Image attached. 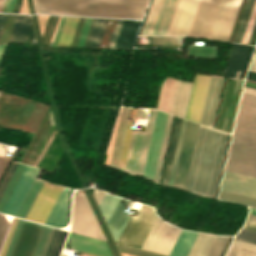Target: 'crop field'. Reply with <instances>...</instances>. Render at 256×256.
<instances>
[{"instance_id": "obj_1", "label": "crop field", "mask_w": 256, "mask_h": 256, "mask_svg": "<svg viewBox=\"0 0 256 256\" xmlns=\"http://www.w3.org/2000/svg\"><path fill=\"white\" fill-rule=\"evenodd\" d=\"M228 136L200 125L186 191L214 197Z\"/></svg>"}, {"instance_id": "obj_2", "label": "crop field", "mask_w": 256, "mask_h": 256, "mask_svg": "<svg viewBox=\"0 0 256 256\" xmlns=\"http://www.w3.org/2000/svg\"><path fill=\"white\" fill-rule=\"evenodd\" d=\"M37 13L142 19L148 0H33Z\"/></svg>"}, {"instance_id": "obj_3", "label": "crop field", "mask_w": 256, "mask_h": 256, "mask_svg": "<svg viewBox=\"0 0 256 256\" xmlns=\"http://www.w3.org/2000/svg\"><path fill=\"white\" fill-rule=\"evenodd\" d=\"M209 79L210 77H207V76L196 75L194 85H193V83H190V82H183V81L176 82L175 79H173L172 81V79L167 77L166 81L163 82L162 84L157 109L165 112L168 95L170 91V86H171V81H172L170 96H169L167 110H166V112L169 113L172 96L174 92V87H175V82H176V87H175V92H174L170 113L185 119L188 103L190 99L191 89L193 85L186 119L199 123Z\"/></svg>"}, {"instance_id": "obj_4", "label": "crop field", "mask_w": 256, "mask_h": 256, "mask_svg": "<svg viewBox=\"0 0 256 256\" xmlns=\"http://www.w3.org/2000/svg\"><path fill=\"white\" fill-rule=\"evenodd\" d=\"M53 230L24 220L11 256H44Z\"/></svg>"}, {"instance_id": "obj_5", "label": "crop field", "mask_w": 256, "mask_h": 256, "mask_svg": "<svg viewBox=\"0 0 256 256\" xmlns=\"http://www.w3.org/2000/svg\"><path fill=\"white\" fill-rule=\"evenodd\" d=\"M93 196L112 236L117 241L129 217L127 211L132 202L108 195L97 189L93 191Z\"/></svg>"}, {"instance_id": "obj_6", "label": "crop field", "mask_w": 256, "mask_h": 256, "mask_svg": "<svg viewBox=\"0 0 256 256\" xmlns=\"http://www.w3.org/2000/svg\"><path fill=\"white\" fill-rule=\"evenodd\" d=\"M178 0H152L140 35H166Z\"/></svg>"}, {"instance_id": "obj_7", "label": "crop field", "mask_w": 256, "mask_h": 256, "mask_svg": "<svg viewBox=\"0 0 256 256\" xmlns=\"http://www.w3.org/2000/svg\"><path fill=\"white\" fill-rule=\"evenodd\" d=\"M156 217L153 208L142 206L139 214L130 216L118 242L141 248Z\"/></svg>"}, {"instance_id": "obj_8", "label": "crop field", "mask_w": 256, "mask_h": 256, "mask_svg": "<svg viewBox=\"0 0 256 256\" xmlns=\"http://www.w3.org/2000/svg\"><path fill=\"white\" fill-rule=\"evenodd\" d=\"M70 231L106 240L85 196L82 194L76 193L74 196Z\"/></svg>"}, {"instance_id": "obj_9", "label": "crop field", "mask_w": 256, "mask_h": 256, "mask_svg": "<svg viewBox=\"0 0 256 256\" xmlns=\"http://www.w3.org/2000/svg\"><path fill=\"white\" fill-rule=\"evenodd\" d=\"M156 110H150L146 129L134 132L125 169L129 174L141 175L146 157L148 143L151 135Z\"/></svg>"}, {"instance_id": "obj_10", "label": "crop field", "mask_w": 256, "mask_h": 256, "mask_svg": "<svg viewBox=\"0 0 256 256\" xmlns=\"http://www.w3.org/2000/svg\"><path fill=\"white\" fill-rule=\"evenodd\" d=\"M225 170L256 178V148L231 142Z\"/></svg>"}, {"instance_id": "obj_11", "label": "crop field", "mask_w": 256, "mask_h": 256, "mask_svg": "<svg viewBox=\"0 0 256 256\" xmlns=\"http://www.w3.org/2000/svg\"><path fill=\"white\" fill-rule=\"evenodd\" d=\"M179 232L180 229L166 224L157 217L142 248L168 255Z\"/></svg>"}, {"instance_id": "obj_12", "label": "crop field", "mask_w": 256, "mask_h": 256, "mask_svg": "<svg viewBox=\"0 0 256 256\" xmlns=\"http://www.w3.org/2000/svg\"><path fill=\"white\" fill-rule=\"evenodd\" d=\"M62 187L43 183L26 219L45 224Z\"/></svg>"}, {"instance_id": "obj_13", "label": "crop field", "mask_w": 256, "mask_h": 256, "mask_svg": "<svg viewBox=\"0 0 256 256\" xmlns=\"http://www.w3.org/2000/svg\"><path fill=\"white\" fill-rule=\"evenodd\" d=\"M167 114L158 112L156 113L155 122L152 130L150 144L147 152L145 166L143 170V177L152 179L154 178L155 169L158 161L160 147L163 139L165 125L167 121Z\"/></svg>"}, {"instance_id": "obj_14", "label": "crop field", "mask_w": 256, "mask_h": 256, "mask_svg": "<svg viewBox=\"0 0 256 256\" xmlns=\"http://www.w3.org/2000/svg\"><path fill=\"white\" fill-rule=\"evenodd\" d=\"M198 127H199L198 124H195L189 121L187 123L182 150H181L177 172L175 176V181L173 185L174 188H180L183 190L185 188Z\"/></svg>"}, {"instance_id": "obj_15", "label": "crop field", "mask_w": 256, "mask_h": 256, "mask_svg": "<svg viewBox=\"0 0 256 256\" xmlns=\"http://www.w3.org/2000/svg\"><path fill=\"white\" fill-rule=\"evenodd\" d=\"M241 0H222L210 37L227 41Z\"/></svg>"}, {"instance_id": "obj_16", "label": "crop field", "mask_w": 256, "mask_h": 256, "mask_svg": "<svg viewBox=\"0 0 256 256\" xmlns=\"http://www.w3.org/2000/svg\"><path fill=\"white\" fill-rule=\"evenodd\" d=\"M221 0H200L188 36L208 38Z\"/></svg>"}, {"instance_id": "obj_17", "label": "crop field", "mask_w": 256, "mask_h": 256, "mask_svg": "<svg viewBox=\"0 0 256 256\" xmlns=\"http://www.w3.org/2000/svg\"><path fill=\"white\" fill-rule=\"evenodd\" d=\"M235 82H236V80H231V79H227V81H226V85H225V89H224V93H223V97H222V101H221V106H220V110H219V114H218V118H217V122H216V126H215L216 129H220L223 131L225 130V126H226V122H227V118H228V114H229V110H230V106H231V102H232V101H230V98H231V95H233V93H234ZM242 82L243 81L237 80L236 88H241ZM236 88H235V91H236ZM240 91H241V89H237V94H236L233 110L231 107L232 115H231V111L229 114L226 130H225L227 132L230 115H231V120H230V125H229V130H228L229 133H231V130H232ZM234 96H235V94H234ZM234 96H232V98H231V100H233V101H234ZM232 105H233V103H232Z\"/></svg>"}, {"instance_id": "obj_18", "label": "crop field", "mask_w": 256, "mask_h": 256, "mask_svg": "<svg viewBox=\"0 0 256 256\" xmlns=\"http://www.w3.org/2000/svg\"><path fill=\"white\" fill-rule=\"evenodd\" d=\"M39 169L25 166L3 213L16 216L24 198L26 197Z\"/></svg>"}, {"instance_id": "obj_19", "label": "crop field", "mask_w": 256, "mask_h": 256, "mask_svg": "<svg viewBox=\"0 0 256 256\" xmlns=\"http://www.w3.org/2000/svg\"><path fill=\"white\" fill-rule=\"evenodd\" d=\"M199 0H179L167 35H188Z\"/></svg>"}, {"instance_id": "obj_20", "label": "crop field", "mask_w": 256, "mask_h": 256, "mask_svg": "<svg viewBox=\"0 0 256 256\" xmlns=\"http://www.w3.org/2000/svg\"><path fill=\"white\" fill-rule=\"evenodd\" d=\"M65 248L97 255V256H112L107 242L70 233Z\"/></svg>"}, {"instance_id": "obj_21", "label": "crop field", "mask_w": 256, "mask_h": 256, "mask_svg": "<svg viewBox=\"0 0 256 256\" xmlns=\"http://www.w3.org/2000/svg\"><path fill=\"white\" fill-rule=\"evenodd\" d=\"M231 141L256 147V116L238 112Z\"/></svg>"}, {"instance_id": "obj_22", "label": "crop field", "mask_w": 256, "mask_h": 256, "mask_svg": "<svg viewBox=\"0 0 256 256\" xmlns=\"http://www.w3.org/2000/svg\"><path fill=\"white\" fill-rule=\"evenodd\" d=\"M223 80L224 78L211 77L200 121L201 124L212 128L215 122Z\"/></svg>"}, {"instance_id": "obj_23", "label": "crop field", "mask_w": 256, "mask_h": 256, "mask_svg": "<svg viewBox=\"0 0 256 256\" xmlns=\"http://www.w3.org/2000/svg\"><path fill=\"white\" fill-rule=\"evenodd\" d=\"M252 47L233 43L224 76L235 77L237 70H242L237 72L236 77H239L240 72L239 78L243 77Z\"/></svg>"}, {"instance_id": "obj_24", "label": "crop field", "mask_w": 256, "mask_h": 256, "mask_svg": "<svg viewBox=\"0 0 256 256\" xmlns=\"http://www.w3.org/2000/svg\"><path fill=\"white\" fill-rule=\"evenodd\" d=\"M70 190L63 188L47 222L46 225L54 227L67 226L68 219V203Z\"/></svg>"}, {"instance_id": "obj_25", "label": "crop field", "mask_w": 256, "mask_h": 256, "mask_svg": "<svg viewBox=\"0 0 256 256\" xmlns=\"http://www.w3.org/2000/svg\"><path fill=\"white\" fill-rule=\"evenodd\" d=\"M140 23L124 20L114 48L132 49Z\"/></svg>"}, {"instance_id": "obj_26", "label": "crop field", "mask_w": 256, "mask_h": 256, "mask_svg": "<svg viewBox=\"0 0 256 256\" xmlns=\"http://www.w3.org/2000/svg\"><path fill=\"white\" fill-rule=\"evenodd\" d=\"M130 111L131 109L123 107L120 120H119L118 130H117L112 158L110 162V166H113L116 168L118 166V162L121 154V149L124 141V136H125V132L128 124Z\"/></svg>"}, {"instance_id": "obj_27", "label": "crop field", "mask_w": 256, "mask_h": 256, "mask_svg": "<svg viewBox=\"0 0 256 256\" xmlns=\"http://www.w3.org/2000/svg\"><path fill=\"white\" fill-rule=\"evenodd\" d=\"M30 25H31V20L29 16L17 15L8 42L25 43Z\"/></svg>"}, {"instance_id": "obj_28", "label": "crop field", "mask_w": 256, "mask_h": 256, "mask_svg": "<svg viewBox=\"0 0 256 256\" xmlns=\"http://www.w3.org/2000/svg\"><path fill=\"white\" fill-rule=\"evenodd\" d=\"M197 233L187 232L182 230L170 255L171 256H186Z\"/></svg>"}, {"instance_id": "obj_29", "label": "crop field", "mask_w": 256, "mask_h": 256, "mask_svg": "<svg viewBox=\"0 0 256 256\" xmlns=\"http://www.w3.org/2000/svg\"><path fill=\"white\" fill-rule=\"evenodd\" d=\"M79 18L66 17L56 46H69Z\"/></svg>"}, {"instance_id": "obj_30", "label": "crop field", "mask_w": 256, "mask_h": 256, "mask_svg": "<svg viewBox=\"0 0 256 256\" xmlns=\"http://www.w3.org/2000/svg\"><path fill=\"white\" fill-rule=\"evenodd\" d=\"M214 237L198 233L187 256H205Z\"/></svg>"}, {"instance_id": "obj_31", "label": "crop field", "mask_w": 256, "mask_h": 256, "mask_svg": "<svg viewBox=\"0 0 256 256\" xmlns=\"http://www.w3.org/2000/svg\"><path fill=\"white\" fill-rule=\"evenodd\" d=\"M108 19H95L86 46L99 47Z\"/></svg>"}, {"instance_id": "obj_32", "label": "crop field", "mask_w": 256, "mask_h": 256, "mask_svg": "<svg viewBox=\"0 0 256 256\" xmlns=\"http://www.w3.org/2000/svg\"><path fill=\"white\" fill-rule=\"evenodd\" d=\"M186 123H187V121L182 119L179 134H178V139H177V143H176V148H175V152H174V156H173V161H172V165H171V170H170V174H169V179H168V183H167V185L171 186V187H172L173 181H174V176H175L178 158H179V154H180V150H181V145H182V141H183Z\"/></svg>"}, {"instance_id": "obj_33", "label": "crop field", "mask_w": 256, "mask_h": 256, "mask_svg": "<svg viewBox=\"0 0 256 256\" xmlns=\"http://www.w3.org/2000/svg\"><path fill=\"white\" fill-rule=\"evenodd\" d=\"M173 119H174V117L169 115L165 134H164V139H163V143H162V148H161V152H160V156H159V161H158V165H157V170H156V174H155V178H154V181H156V182L159 181V177H160V173H161V169H162V165H163V160H164V156H165V152H166V148H167V144H168V140H169V135H170Z\"/></svg>"}, {"instance_id": "obj_34", "label": "crop field", "mask_w": 256, "mask_h": 256, "mask_svg": "<svg viewBox=\"0 0 256 256\" xmlns=\"http://www.w3.org/2000/svg\"><path fill=\"white\" fill-rule=\"evenodd\" d=\"M181 119L177 117L161 184L166 185Z\"/></svg>"}, {"instance_id": "obj_35", "label": "crop field", "mask_w": 256, "mask_h": 256, "mask_svg": "<svg viewBox=\"0 0 256 256\" xmlns=\"http://www.w3.org/2000/svg\"><path fill=\"white\" fill-rule=\"evenodd\" d=\"M41 184H42V181H39V180L35 179L27 197L25 198V200H24V202H23V204H22V206H21V208H20V210L17 214V217H20V218H23V219L25 218V216H26V214H27V212H28V210H29V208H30V206H31V204H32L40 186H41Z\"/></svg>"}, {"instance_id": "obj_36", "label": "crop field", "mask_w": 256, "mask_h": 256, "mask_svg": "<svg viewBox=\"0 0 256 256\" xmlns=\"http://www.w3.org/2000/svg\"><path fill=\"white\" fill-rule=\"evenodd\" d=\"M136 111H137V109H132V112H131V116H130V120H129V124H128V128H127V133H126V137H125V141H124V145H123V150H122V154H121V158H120V162H119V166H118V168L121 170L124 169Z\"/></svg>"}, {"instance_id": "obj_37", "label": "crop field", "mask_w": 256, "mask_h": 256, "mask_svg": "<svg viewBox=\"0 0 256 256\" xmlns=\"http://www.w3.org/2000/svg\"><path fill=\"white\" fill-rule=\"evenodd\" d=\"M255 0H248L234 41L240 43Z\"/></svg>"}, {"instance_id": "obj_38", "label": "crop field", "mask_w": 256, "mask_h": 256, "mask_svg": "<svg viewBox=\"0 0 256 256\" xmlns=\"http://www.w3.org/2000/svg\"><path fill=\"white\" fill-rule=\"evenodd\" d=\"M23 168H24V165L19 164V166H18L16 172L14 173L11 181L9 182L5 192L3 193V195L0 199V212H2L7 200H8V198H9V196H10V194H11V192H12V190H13V188H14V186H15V184H16V182H17V180H18V178H19V176L22 172V170H23Z\"/></svg>"}, {"instance_id": "obj_39", "label": "crop field", "mask_w": 256, "mask_h": 256, "mask_svg": "<svg viewBox=\"0 0 256 256\" xmlns=\"http://www.w3.org/2000/svg\"><path fill=\"white\" fill-rule=\"evenodd\" d=\"M219 198L256 207V199L238 195V194H234V193H230V192H226V191H222V190L220 192Z\"/></svg>"}, {"instance_id": "obj_40", "label": "crop field", "mask_w": 256, "mask_h": 256, "mask_svg": "<svg viewBox=\"0 0 256 256\" xmlns=\"http://www.w3.org/2000/svg\"><path fill=\"white\" fill-rule=\"evenodd\" d=\"M230 237H215L206 256H221Z\"/></svg>"}, {"instance_id": "obj_41", "label": "crop field", "mask_w": 256, "mask_h": 256, "mask_svg": "<svg viewBox=\"0 0 256 256\" xmlns=\"http://www.w3.org/2000/svg\"><path fill=\"white\" fill-rule=\"evenodd\" d=\"M226 256H256V251L231 245Z\"/></svg>"}, {"instance_id": "obj_42", "label": "crop field", "mask_w": 256, "mask_h": 256, "mask_svg": "<svg viewBox=\"0 0 256 256\" xmlns=\"http://www.w3.org/2000/svg\"><path fill=\"white\" fill-rule=\"evenodd\" d=\"M117 246L119 250L122 252L130 253L138 256H163V255H159V254H155V253H151V252H147V251H143V250H139V249H135V248L119 245V244H117Z\"/></svg>"}, {"instance_id": "obj_43", "label": "crop field", "mask_w": 256, "mask_h": 256, "mask_svg": "<svg viewBox=\"0 0 256 256\" xmlns=\"http://www.w3.org/2000/svg\"><path fill=\"white\" fill-rule=\"evenodd\" d=\"M17 166H18V164L12 161L7 173L5 174L3 180L0 184V197H1L2 193L4 192L8 182L10 181L13 173L15 172Z\"/></svg>"}, {"instance_id": "obj_44", "label": "crop field", "mask_w": 256, "mask_h": 256, "mask_svg": "<svg viewBox=\"0 0 256 256\" xmlns=\"http://www.w3.org/2000/svg\"><path fill=\"white\" fill-rule=\"evenodd\" d=\"M7 146L0 144V180L6 170V167L10 161L11 158H9L5 152Z\"/></svg>"}, {"instance_id": "obj_45", "label": "crop field", "mask_w": 256, "mask_h": 256, "mask_svg": "<svg viewBox=\"0 0 256 256\" xmlns=\"http://www.w3.org/2000/svg\"><path fill=\"white\" fill-rule=\"evenodd\" d=\"M238 111L256 115V104L241 100Z\"/></svg>"}, {"instance_id": "obj_46", "label": "crop field", "mask_w": 256, "mask_h": 256, "mask_svg": "<svg viewBox=\"0 0 256 256\" xmlns=\"http://www.w3.org/2000/svg\"><path fill=\"white\" fill-rule=\"evenodd\" d=\"M65 231H59V234L57 236V239H56V242L54 244V247H53V250L51 252V255L50 256H57L58 255V252H59V249L61 247V244H62V241H63V238L65 236Z\"/></svg>"}, {"instance_id": "obj_47", "label": "crop field", "mask_w": 256, "mask_h": 256, "mask_svg": "<svg viewBox=\"0 0 256 256\" xmlns=\"http://www.w3.org/2000/svg\"><path fill=\"white\" fill-rule=\"evenodd\" d=\"M236 237L256 242V233L255 232H251V231L241 229Z\"/></svg>"}, {"instance_id": "obj_48", "label": "crop field", "mask_w": 256, "mask_h": 256, "mask_svg": "<svg viewBox=\"0 0 256 256\" xmlns=\"http://www.w3.org/2000/svg\"><path fill=\"white\" fill-rule=\"evenodd\" d=\"M22 221H23V220H21V219L18 220V223H17V225H16L15 231H14V233H13L11 242H10V244H9V247H8V250H7L5 256H10L11 250H12V248H13V245H14V242H15V240H16V237H17V234H18V232H19V229H20V226H21V224H22Z\"/></svg>"}, {"instance_id": "obj_49", "label": "crop field", "mask_w": 256, "mask_h": 256, "mask_svg": "<svg viewBox=\"0 0 256 256\" xmlns=\"http://www.w3.org/2000/svg\"><path fill=\"white\" fill-rule=\"evenodd\" d=\"M17 220H18V219H16V218L13 219V222H12V224H11V227H10L8 236H7V238H6V241H5L3 250L1 249L2 252H1V255H0V256H4V255H5V252H6V250H7L8 244H9V242H10V239H11L12 233H13V231H14L15 225H16V223H17Z\"/></svg>"}, {"instance_id": "obj_50", "label": "crop field", "mask_w": 256, "mask_h": 256, "mask_svg": "<svg viewBox=\"0 0 256 256\" xmlns=\"http://www.w3.org/2000/svg\"><path fill=\"white\" fill-rule=\"evenodd\" d=\"M8 225L9 223L7 222V220L4 218L3 215L0 214V246L3 241Z\"/></svg>"}, {"instance_id": "obj_51", "label": "crop field", "mask_w": 256, "mask_h": 256, "mask_svg": "<svg viewBox=\"0 0 256 256\" xmlns=\"http://www.w3.org/2000/svg\"><path fill=\"white\" fill-rule=\"evenodd\" d=\"M243 228L252 230V231H256V216L249 214L247 222Z\"/></svg>"}, {"instance_id": "obj_52", "label": "crop field", "mask_w": 256, "mask_h": 256, "mask_svg": "<svg viewBox=\"0 0 256 256\" xmlns=\"http://www.w3.org/2000/svg\"><path fill=\"white\" fill-rule=\"evenodd\" d=\"M123 20H118L108 48H113Z\"/></svg>"}, {"instance_id": "obj_53", "label": "crop field", "mask_w": 256, "mask_h": 256, "mask_svg": "<svg viewBox=\"0 0 256 256\" xmlns=\"http://www.w3.org/2000/svg\"><path fill=\"white\" fill-rule=\"evenodd\" d=\"M92 18H87L77 46H82Z\"/></svg>"}, {"instance_id": "obj_54", "label": "crop field", "mask_w": 256, "mask_h": 256, "mask_svg": "<svg viewBox=\"0 0 256 256\" xmlns=\"http://www.w3.org/2000/svg\"><path fill=\"white\" fill-rule=\"evenodd\" d=\"M16 0H6L2 12L12 13Z\"/></svg>"}, {"instance_id": "obj_55", "label": "crop field", "mask_w": 256, "mask_h": 256, "mask_svg": "<svg viewBox=\"0 0 256 256\" xmlns=\"http://www.w3.org/2000/svg\"><path fill=\"white\" fill-rule=\"evenodd\" d=\"M58 231H59V230H57V229L54 230V233H53V235H52V238H51V241H50V243H49V246H48V249H47V251H46L45 256H49V255H50V252H51V250H52V247H53V244H54V242H55V239H56V236H57V234H58Z\"/></svg>"}, {"instance_id": "obj_56", "label": "crop field", "mask_w": 256, "mask_h": 256, "mask_svg": "<svg viewBox=\"0 0 256 256\" xmlns=\"http://www.w3.org/2000/svg\"><path fill=\"white\" fill-rule=\"evenodd\" d=\"M232 244L256 250L255 245H251V244H247V243H243L235 240L233 241Z\"/></svg>"}, {"instance_id": "obj_57", "label": "crop field", "mask_w": 256, "mask_h": 256, "mask_svg": "<svg viewBox=\"0 0 256 256\" xmlns=\"http://www.w3.org/2000/svg\"><path fill=\"white\" fill-rule=\"evenodd\" d=\"M241 99L256 103V96H253V95L243 93Z\"/></svg>"}, {"instance_id": "obj_58", "label": "crop field", "mask_w": 256, "mask_h": 256, "mask_svg": "<svg viewBox=\"0 0 256 256\" xmlns=\"http://www.w3.org/2000/svg\"><path fill=\"white\" fill-rule=\"evenodd\" d=\"M255 38H256V22H255V25H254V28H253V31H252V34H251V37H250V40H249L248 44L253 45L254 41H255Z\"/></svg>"}, {"instance_id": "obj_59", "label": "crop field", "mask_w": 256, "mask_h": 256, "mask_svg": "<svg viewBox=\"0 0 256 256\" xmlns=\"http://www.w3.org/2000/svg\"><path fill=\"white\" fill-rule=\"evenodd\" d=\"M64 18H65V17H62V18H61V21H60V24H59V27H58V30H57V33H56V36H55V39H54V42H53V45H52V46H55V44H56V41H57L59 32H60V30H61V27H62Z\"/></svg>"}, {"instance_id": "obj_60", "label": "crop field", "mask_w": 256, "mask_h": 256, "mask_svg": "<svg viewBox=\"0 0 256 256\" xmlns=\"http://www.w3.org/2000/svg\"><path fill=\"white\" fill-rule=\"evenodd\" d=\"M137 118L146 119V112L144 110L138 109L136 119Z\"/></svg>"}, {"instance_id": "obj_61", "label": "crop field", "mask_w": 256, "mask_h": 256, "mask_svg": "<svg viewBox=\"0 0 256 256\" xmlns=\"http://www.w3.org/2000/svg\"><path fill=\"white\" fill-rule=\"evenodd\" d=\"M246 79L256 81V73L249 71Z\"/></svg>"}, {"instance_id": "obj_62", "label": "crop field", "mask_w": 256, "mask_h": 256, "mask_svg": "<svg viewBox=\"0 0 256 256\" xmlns=\"http://www.w3.org/2000/svg\"><path fill=\"white\" fill-rule=\"evenodd\" d=\"M249 70L256 72V54L254 55V58H253V61L251 63V66H250Z\"/></svg>"}, {"instance_id": "obj_63", "label": "crop field", "mask_w": 256, "mask_h": 256, "mask_svg": "<svg viewBox=\"0 0 256 256\" xmlns=\"http://www.w3.org/2000/svg\"><path fill=\"white\" fill-rule=\"evenodd\" d=\"M243 92L256 95V90L244 87Z\"/></svg>"}, {"instance_id": "obj_64", "label": "crop field", "mask_w": 256, "mask_h": 256, "mask_svg": "<svg viewBox=\"0 0 256 256\" xmlns=\"http://www.w3.org/2000/svg\"><path fill=\"white\" fill-rule=\"evenodd\" d=\"M5 16L6 15H0V33H1V29H2L3 23H4Z\"/></svg>"}, {"instance_id": "obj_65", "label": "crop field", "mask_w": 256, "mask_h": 256, "mask_svg": "<svg viewBox=\"0 0 256 256\" xmlns=\"http://www.w3.org/2000/svg\"><path fill=\"white\" fill-rule=\"evenodd\" d=\"M5 47H6V44L0 45V58H1L2 54H3V51H4Z\"/></svg>"}, {"instance_id": "obj_66", "label": "crop field", "mask_w": 256, "mask_h": 256, "mask_svg": "<svg viewBox=\"0 0 256 256\" xmlns=\"http://www.w3.org/2000/svg\"><path fill=\"white\" fill-rule=\"evenodd\" d=\"M4 1H5V0H0V12L2 11Z\"/></svg>"}, {"instance_id": "obj_67", "label": "crop field", "mask_w": 256, "mask_h": 256, "mask_svg": "<svg viewBox=\"0 0 256 256\" xmlns=\"http://www.w3.org/2000/svg\"><path fill=\"white\" fill-rule=\"evenodd\" d=\"M245 83H247V84H251V85H255L256 86V84H253V83H250V82H245ZM247 84H245L246 86H250V87H254V88H256L255 86H251V85H247Z\"/></svg>"}, {"instance_id": "obj_68", "label": "crop field", "mask_w": 256, "mask_h": 256, "mask_svg": "<svg viewBox=\"0 0 256 256\" xmlns=\"http://www.w3.org/2000/svg\"><path fill=\"white\" fill-rule=\"evenodd\" d=\"M251 210H252V212H251ZM249 213L256 215V209L250 208V212Z\"/></svg>"}, {"instance_id": "obj_69", "label": "crop field", "mask_w": 256, "mask_h": 256, "mask_svg": "<svg viewBox=\"0 0 256 256\" xmlns=\"http://www.w3.org/2000/svg\"><path fill=\"white\" fill-rule=\"evenodd\" d=\"M236 240H240V241H244V242H248V243H252V244H256V243H253V242H249V241H245V240H241V239H237L235 238Z\"/></svg>"}, {"instance_id": "obj_70", "label": "crop field", "mask_w": 256, "mask_h": 256, "mask_svg": "<svg viewBox=\"0 0 256 256\" xmlns=\"http://www.w3.org/2000/svg\"><path fill=\"white\" fill-rule=\"evenodd\" d=\"M62 256H63V255H62ZM80 256H84V255L81 254Z\"/></svg>"}, {"instance_id": "obj_71", "label": "crop field", "mask_w": 256, "mask_h": 256, "mask_svg": "<svg viewBox=\"0 0 256 256\" xmlns=\"http://www.w3.org/2000/svg\"><path fill=\"white\" fill-rule=\"evenodd\" d=\"M248 81V80H247ZM250 82H253V81H250ZM254 83H256V82H254Z\"/></svg>"}, {"instance_id": "obj_72", "label": "crop field", "mask_w": 256, "mask_h": 256, "mask_svg": "<svg viewBox=\"0 0 256 256\" xmlns=\"http://www.w3.org/2000/svg\"><path fill=\"white\" fill-rule=\"evenodd\" d=\"M256 53V52H255Z\"/></svg>"}]
</instances>
